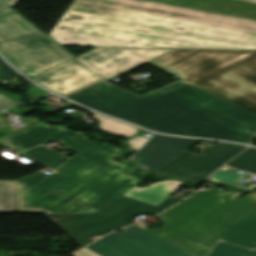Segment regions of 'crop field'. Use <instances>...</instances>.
Masks as SVG:
<instances>
[{
	"mask_svg": "<svg viewBox=\"0 0 256 256\" xmlns=\"http://www.w3.org/2000/svg\"><path fill=\"white\" fill-rule=\"evenodd\" d=\"M1 91V90H0Z\"/></svg>",
	"mask_w": 256,
	"mask_h": 256,
	"instance_id": "obj_27",
	"label": "crop field"
},
{
	"mask_svg": "<svg viewBox=\"0 0 256 256\" xmlns=\"http://www.w3.org/2000/svg\"><path fill=\"white\" fill-rule=\"evenodd\" d=\"M0 52L29 78L74 58L19 13L0 19Z\"/></svg>",
	"mask_w": 256,
	"mask_h": 256,
	"instance_id": "obj_5",
	"label": "crop field"
},
{
	"mask_svg": "<svg viewBox=\"0 0 256 256\" xmlns=\"http://www.w3.org/2000/svg\"><path fill=\"white\" fill-rule=\"evenodd\" d=\"M198 140L155 135L133 156V160L155 172Z\"/></svg>",
	"mask_w": 256,
	"mask_h": 256,
	"instance_id": "obj_8",
	"label": "crop field"
},
{
	"mask_svg": "<svg viewBox=\"0 0 256 256\" xmlns=\"http://www.w3.org/2000/svg\"><path fill=\"white\" fill-rule=\"evenodd\" d=\"M29 89H30L29 90L30 96L32 98H38L40 96H43V95H46V94L49 93V92H47V91H45V90H43V89H41V88H39L37 86L30 87Z\"/></svg>",
	"mask_w": 256,
	"mask_h": 256,
	"instance_id": "obj_20",
	"label": "crop field"
},
{
	"mask_svg": "<svg viewBox=\"0 0 256 256\" xmlns=\"http://www.w3.org/2000/svg\"><path fill=\"white\" fill-rule=\"evenodd\" d=\"M4 2H6L8 5H10L11 7H14L15 4L19 1V0H3Z\"/></svg>",
	"mask_w": 256,
	"mask_h": 256,
	"instance_id": "obj_23",
	"label": "crop field"
},
{
	"mask_svg": "<svg viewBox=\"0 0 256 256\" xmlns=\"http://www.w3.org/2000/svg\"><path fill=\"white\" fill-rule=\"evenodd\" d=\"M61 46L256 51V0H74Z\"/></svg>",
	"mask_w": 256,
	"mask_h": 256,
	"instance_id": "obj_2",
	"label": "crop field"
},
{
	"mask_svg": "<svg viewBox=\"0 0 256 256\" xmlns=\"http://www.w3.org/2000/svg\"><path fill=\"white\" fill-rule=\"evenodd\" d=\"M5 115H7V114L4 113V112H0V117H3V116H5Z\"/></svg>",
	"mask_w": 256,
	"mask_h": 256,
	"instance_id": "obj_25",
	"label": "crop field"
},
{
	"mask_svg": "<svg viewBox=\"0 0 256 256\" xmlns=\"http://www.w3.org/2000/svg\"><path fill=\"white\" fill-rule=\"evenodd\" d=\"M208 256H256V250L249 251L237 246L220 242Z\"/></svg>",
	"mask_w": 256,
	"mask_h": 256,
	"instance_id": "obj_14",
	"label": "crop field"
},
{
	"mask_svg": "<svg viewBox=\"0 0 256 256\" xmlns=\"http://www.w3.org/2000/svg\"><path fill=\"white\" fill-rule=\"evenodd\" d=\"M248 174V173H247ZM246 175V174H245ZM253 175L252 174H248L244 177H242V180H247V179H250Z\"/></svg>",
	"mask_w": 256,
	"mask_h": 256,
	"instance_id": "obj_24",
	"label": "crop field"
},
{
	"mask_svg": "<svg viewBox=\"0 0 256 256\" xmlns=\"http://www.w3.org/2000/svg\"><path fill=\"white\" fill-rule=\"evenodd\" d=\"M15 70L9 67L1 58H0V79L7 80L15 75H17Z\"/></svg>",
	"mask_w": 256,
	"mask_h": 256,
	"instance_id": "obj_15",
	"label": "crop field"
},
{
	"mask_svg": "<svg viewBox=\"0 0 256 256\" xmlns=\"http://www.w3.org/2000/svg\"><path fill=\"white\" fill-rule=\"evenodd\" d=\"M50 139L78 154L52 175L38 171L17 180V213H94L141 182L114 161L119 148L61 126L40 122L0 143L21 152Z\"/></svg>",
	"mask_w": 256,
	"mask_h": 256,
	"instance_id": "obj_3",
	"label": "crop field"
},
{
	"mask_svg": "<svg viewBox=\"0 0 256 256\" xmlns=\"http://www.w3.org/2000/svg\"><path fill=\"white\" fill-rule=\"evenodd\" d=\"M16 104L18 103L0 94V110L6 109Z\"/></svg>",
	"mask_w": 256,
	"mask_h": 256,
	"instance_id": "obj_19",
	"label": "crop field"
},
{
	"mask_svg": "<svg viewBox=\"0 0 256 256\" xmlns=\"http://www.w3.org/2000/svg\"><path fill=\"white\" fill-rule=\"evenodd\" d=\"M179 198L168 197L158 206L118 197L95 214H46L82 247L94 241L88 237L103 236L132 223L139 214H152L167 209Z\"/></svg>",
	"mask_w": 256,
	"mask_h": 256,
	"instance_id": "obj_6",
	"label": "crop field"
},
{
	"mask_svg": "<svg viewBox=\"0 0 256 256\" xmlns=\"http://www.w3.org/2000/svg\"><path fill=\"white\" fill-rule=\"evenodd\" d=\"M199 191L156 216L160 228L135 225L112 233L74 256H205L225 230L256 207V192Z\"/></svg>",
	"mask_w": 256,
	"mask_h": 256,
	"instance_id": "obj_4",
	"label": "crop field"
},
{
	"mask_svg": "<svg viewBox=\"0 0 256 256\" xmlns=\"http://www.w3.org/2000/svg\"><path fill=\"white\" fill-rule=\"evenodd\" d=\"M146 140H147V138L134 137V138L128 140L127 142L131 146L132 149L138 151Z\"/></svg>",
	"mask_w": 256,
	"mask_h": 256,
	"instance_id": "obj_17",
	"label": "crop field"
},
{
	"mask_svg": "<svg viewBox=\"0 0 256 256\" xmlns=\"http://www.w3.org/2000/svg\"><path fill=\"white\" fill-rule=\"evenodd\" d=\"M182 184L172 180L159 181L143 188L134 187L122 196L158 205Z\"/></svg>",
	"mask_w": 256,
	"mask_h": 256,
	"instance_id": "obj_10",
	"label": "crop field"
},
{
	"mask_svg": "<svg viewBox=\"0 0 256 256\" xmlns=\"http://www.w3.org/2000/svg\"><path fill=\"white\" fill-rule=\"evenodd\" d=\"M0 211H16V181H0Z\"/></svg>",
	"mask_w": 256,
	"mask_h": 256,
	"instance_id": "obj_12",
	"label": "crop field"
},
{
	"mask_svg": "<svg viewBox=\"0 0 256 256\" xmlns=\"http://www.w3.org/2000/svg\"><path fill=\"white\" fill-rule=\"evenodd\" d=\"M13 12L16 11L12 9L10 6H8L6 3H4L2 0H0V17L8 15Z\"/></svg>",
	"mask_w": 256,
	"mask_h": 256,
	"instance_id": "obj_21",
	"label": "crop field"
},
{
	"mask_svg": "<svg viewBox=\"0 0 256 256\" xmlns=\"http://www.w3.org/2000/svg\"><path fill=\"white\" fill-rule=\"evenodd\" d=\"M220 240L256 248V208L229 227Z\"/></svg>",
	"mask_w": 256,
	"mask_h": 256,
	"instance_id": "obj_9",
	"label": "crop field"
},
{
	"mask_svg": "<svg viewBox=\"0 0 256 256\" xmlns=\"http://www.w3.org/2000/svg\"><path fill=\"white\" fill-rule=\"evenodd\" d=\"M52 169H56L60 166L68 157L59 154L51 149H48L44 146L26 151L22 153Z\"/></svg>",
	"mask_w": 256,
	"mask_h": 256,
	"instance_id": "obj_11",
	"label": "crop field"
},
{
	"mask_svg": "<svg viewBox=\"0 0 256 256\" xmlns=\"http://www.w3.org/2000/svg\"><path fill=\"white\" fill-rule=\"evenodd\" d=\"M146 62L181 79L143 97L99 81L67 98L156 132L245 144L256 135V52L96 48L31 79L64 96Z\"/></svg>",
	"mask_w": 256,
	"mask_h": 256,
	"instance_id": "obj_1",
	"label": "crop field"
},
{
	"mask_svg": "<svg viewBox=\"0 0 256 256\" xmlns=\"http://www.w3.org/2000/svg\"><path fill=\"white\" fill-rule=\"evenodd\" d=\"M256 137V136H255Z\"/></svg>",
	"mask_w": 256,
	"mask_h": 256,
	"instance_id": "obj_26",
	"label": "crop field"
},
{
	"mask_svg": "<svg viewBox=\"0 0 256 256\" xmlns=\"http://www.w3.org/2000/svg\"><path fill=\"white\" fill-rule=\"evenodd\" d=\"M225 165L256 174V149H247Z\"/></svg>",
	"mask_w": 256,
	"mask_h": 256,
	"instance_id": "obj_13",
	"label": "crop field"
},
{
	"mask_svg": "<svg viewBox=\"0 0 256 256\" xmlns=\"http://www.w3.org/2000/svg\"><path fill=\"white\" fill-rule=\"evenodd\" d=\"M245 147L218 142L201 155L185 151L155 172L153 176L155 178L177 177L197 183L207 178L217 167Z\"/></svg>",
	"mask_w": 256,
	"mask_h": 256,
	"instance_id": "obj_7",
	"label": "crop field"
},
{
	"mask_svg": "<svg viewBox=\"0 0 256 256\" xmlns=\"http://www.w3.org/2000/svg\"><path fill=\"white\" fill-rule=\"evenodd\" d=\"M213 174L218 175V176H222V177H226V178H229V179L237 180V181L240 179V176L242 175V174H238V173H235V172H232V171H221V170H218Z\"/></svg>",
	"mask_w": 256,
	"mask_h": 256,
	"instance_id": "obj_18",
	"label": "crop field"
},
{
	"mask_svg": "<svg viewBox=\"0 0 256 256\" xmlns=\"http://www.w3.org/2000/svg\"><path fill=\"white\" fill-rule=\"evenodd\" d=\"M0 93L3 94V95H5V96H7V97H9V98H11V99H13V100H15V101H17V102H19V103L22 102V101L20 100V98H19L17 95L9 94V93L4 92V91H2V92H0ZM17 102H16V103H17Z\"/></svg>",
	"mask_w": 256,
	"mask_h": 256,
	"instance_id": "obj_22",
	"label": "crop field"
},
{
	"mask_svg": "<svg viewBox=\"0 0 256 256\" xmlns=\"http://www.w3.org/2000/svg\"><path fill=\"white\" fill-rule=\"evenodd\" d=\"M210 180L225 183V184H229V185H233V186H237V187H239L241 189H244V190H250V189H252L253 187L256 186V184H253L251 186H244V185L238 183L237 181L225 179V178L214 176V175H212Z\"/></svg>",
	"mask_w": 256,
	"mask_h": 256,
	"instance_id": "obj_16",
	"label": "crop field"
}]
</instances>
